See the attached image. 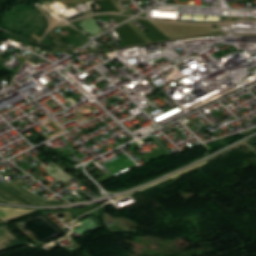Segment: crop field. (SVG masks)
Here are the masks:
<instances>
[{"label": "crop field", "instance_id": "f4fd0767", "mask_svg": "<svg viewBox=\"0 0 256 256\" xmlns=\"http://www.w3.org/2000/svg\"><path fill=\"white\" fill-rule=\"evenodd\" d=\"M0 198H2V199H4V200L8 201L7 199H5L4 197H2L1 195H0ZM9 202H10V201H9Z\"/></svg>", "mask_w": 256, "mask_h": 256}, {"label": "crop field", "instance_id": "ac0d7876", "mask_svg": "<svg viewBox=\"0 0 256 256\" xmlns=\"http://www.w3.org/2000/svg\"><path fill=\"white\" fill-rule=\"evenodd\" d=\"M32 211H35V210H32ZM32 211L0 207V218L3 220H10V219L27 214Z\"/></svg>", "mask_w": 256, "mask_h": 256}, {"label": "crop field", "instance_id": "8a807250", "mask_svg": "<svg viewBox=\"0 0 256 256\" xmlns=\"http://www.w3.org/2000/svg\"><path fill=\"white\" fill-rule=\"evenodd\" d=\"M7 187H9L10 189H12L13 191H15L20 196H22L23 198H25L26 200H28L29 202H31L33 204H36V205H51V204L47 203L46 201L36 197L32 193L24 190L16 182L7 186Z\"/></svg>", "mask_w": 256, "mask_h": 256}, {"label": "crop field", "instance_id": "34b2d1b8", "mask_svg": "<svg viewBox=\"0 0 256 256\" xmlns=\"http://www.w3.org/2000/svg\"><path fill=\"white\" fill-rule=\"evenodd\" d=\"M256 137V136H255ZM254 138V137H253ZM252 139V138H251ZM250 140V139H249ZM248 141V140H247ZM247 141H245V142H243V143H241V144H239V145H237V146H235V147H233V148H231V149H229V150H227V151H225V152H223V153H221V154H219V155H217V156H215V157H213V158H210V159H208V160H206V161H204V162H202V163H200V164H198V165H196V166H193V167H191V168H189V169H187V170H185V171H188V170H190V169H193V168H195V167H198V166H200V165H202V164H204V163H206V162H208V161H210V160H212V159H214V158H216V157H218V156H220V155H222V154H224V153H226V152H228V151H230V150H232V149H234V148H236V147H238V146H240V145H242V144H244V143H247ZM185 171H183V172H185ZM183 172H181V173H183ZM180 174V173H179ZM176 175H178V174H176ZM175 176V175H174ZM173 177V176H172ZM169 178H171V177H169ZM168 179V178H167ZM166 180V179H165ZM163 181V180H162ZM161 182V181H160ZM159 183V182H158ZM156 184V183H155ZM154 185V184H153ZM151 186V185H150ZM146 188V187H145ZM144 189V188H143ZM140 190H142V189H140ZM140 190H138V191H140ZM138 191H135V192H138ZM135 192H133V193H135ZM133 193H131V194H133ZM128 195H130V194H128ZM125 196H127V195H125ZM125 196H122V197H120V198H116V200H118V199H121V198H123V197H125Z\"/></svg>", "mask_w": 256, "mask_h": 256}, {"label": "crop field", "instance_id": "412701ff", "mask_svg": "<svg viewBox=\"0 0 256 256\" xmlns=\"http://www.w3.org/2000/svg\"><path fill=\"white\" fill-rule=\"evenodd\" d=\"M249 143H250V145L256 144V138L251 140V141H249Z\"/></svg>", "mask_w": 256, "mask_h": 256}]
</instances>
